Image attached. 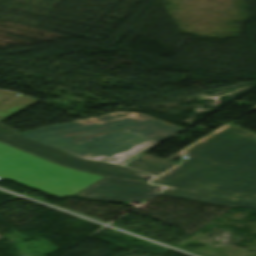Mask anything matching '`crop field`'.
<instances>
[{
	"instance_id": "ac0d7876",
	"label": "crop field",
	"mask_w": 256,
	"mask_h": 256,
	"mask_svg": "<svg viewBox=\"0 0 256 256\" xmlns=\"http://www.w3.org/2000/svg\"><path fill=\"white\" fill-rule=\"evenodd\" d=\"M102 178L61 167L0 143V181L9 179L63 199Z\"/></svg>"
},
{
	"instance_id": "8a807250",
	"label": "crop field",
	"mask_w": 256,
	"mask_h": 256,
	"mask_svg": "<svg viewBox=\"0 0 256 256\" xmlns=\"http://www.w3.org/2000/svg\"><path fill=\"white\" fill-rule=\"evenodd\" d=\"M184 153L190 158L152 182L196 192L168 188L161 195L256 209V135L236 126L228 125L164 161L144 154L126 165L157 176Z\"/></svg>"
},
{
	"instance_id": "f4fd0767",
	"label": "crop field",
	"mask_w": 256,
	"mask_h": 256,
	"mask_svg": "<svg viewBox=\"0 0 256 256\" xmlns=\"http://www.w3.org/2000/svg\"><path fill=\"white\" fill-rule=\"evenodd\" d=\"M133 114H136V113L115 112V113H111V114H106V115H102V116H97V117L88 118V119H84V120H79V121H75V122H70V123L50 126V127L41 128V129L45 130L47 132H50L52 134H55V135H58V136L62 137L64 134H67V133H72V132H77V131H81V130H86V129L96 128V127L111 125V124H115V123H120V122H125V121H130V120H135V119H141V118L149 117V116L143 115V114H136V116H133V117H128V118H123V119H118V120H113V121H108V122L88 125V124L97 123V122H101V121H106V120H110V119H115V118H120V117H124V116H129V115H133ZM150 118L151 119H149L147 121H143V122L133 123V124H129V125L119 126V127L105 129V130H100V131H95V132L79 134V135L67 137L65 139L70 140V138H73V137L89 135V134H94V133H99V132H104V131H109V130H114V129H120V128H125V127L140 125V124H144V123L159 121V120H156V119H154L152 117H150ZM159 122L160 123L156 124V125H151V126H146V127H139V128H133V129H129L128 131L134 132L135 130H141V129L155 127V126H164L163 128L153 129L151 131L141 132L140 133V134H143V135H145V136H147L149 138H153V139H157V140L161 141V140L171 136L172 134H174L177 131L182 129V128H179V127H176V126H173V125L161 122V121H159ZM85 125H88V126H85ZM113 133H115V132H113ZM113 133L104 134V135L95 136V137H90V138H85V139H81V140H76V141H73V142L80 143V142H82V141H84L86 139L91 140V141L99 142V141L103 140L104 138L110 136Z\"/></svg>"
},
{
	"instance_id": "5a996713",
	"label": "crop field",
	"mask_w": 256,
	"mask_h": 256,
	"mask_svg": "<svg viewBox=\"0 0 256 256\" xmlns=\"http://www.w3.org/2000/svg\"><path fill=\"white\" fill-rule=\"evenodd\" d=\"M155 128H158V127H155ZM153 128H150V129H146V130H151ZM146 130H141V131H146ZM136 132H140V131H136Z\"/></svg>"
},
{
	"instance_id": "e52e79f7",
	"label": "crop field",
	"mask_w": 256,
	"mask_h": 256,
	"mask_svg": "<svg viewBox=\"0 0 256 256\" xmlns=\"http://www.w3.org/2000/svg\"><path fill=\"white\" fill-rule=\"evenodd\" d=\"M147 119H149V118L141 119V120H135V121H130V122H125V123H120V124H115V125H111V126H106V127H101V128H96V129H91V130H86V131H81V132L72 133V134H67V135H64V137L70 136V135H74V134L94 131V130H100V129L110 128V127H115V126H119V125L129 124V123H133V122L143 121V120H147Z\"/></svg>"
},
{
	"instance_id": "34b2d1b8",
	"label": "crop field",
	"mask_w": 256,
	"mask_h": 256,
	"mask_svg": "<svg viewBox=\"0 0 256 256\" xmlns=\"http://www.w3.org/2000/svg\"><path fill=\"white\" fill-rule=\"evenodd\" d=\"M20 135L63 150L75 157L120 165L142 153L158 141L126 130L119 131L103 141H85L75 144L40 129Z\"/></svg>"
},
{
	"instance_id": "412701ff",
	"label": "crop field",
	"mask_w": 256,
	"mask_h": 256,
	"mask_svg": "<svg viewBox=\"0 0 256 256\" xmlns=\"http://www.w3.org/2000/svg\"><path fill=\"white\" fill-rule=\"evenodd\" d=\"M16 130L0 123V141L16 148L31 152L37 156L54 161L62 166H69L77 169L91 171L103 174L109 177L120 178L125 180L141 181L147 174L134 171L125 167L100 163L84 161L75 158L63 151L49 147L47 145L38 143L28 138L17 135Z\"/></svg>"
},
{
	"instance_id": "d8731c3e",
	"label": "crop field",
	"mask_w": 256,
	"mask_h": 256,
	"mask_svg": "<svg viewBox=\"0 0 256 256\" xmlns=\"http://www.w3.org/2000/svg\"><path fill=\"white\" fill-rule=\"evenodd\" d=\"M156 123H158V122L149 123V124L140 125V126H146V125H151V124H156ZM135 127H139V126H135ZM130 128H133V127H130ZM125 129H129V128H125ZM120 130H123V129H120ZM114 131H118V130H114ZM109 132H113V131H109ZM109 132H104V133H109ZM104 133H99V134H94V135H89V136H83V137L73 138L72 140L81 139V138L90 137V136H95V135H100V134H104Z\"/></svg>"
},
{
	"instance_id": "dd49c442",
	"label": "crop field",
	"mask_w": 256,
	"mask_h": 256,
	"mask_svg": "<svg viewBox=\"0 0 256 256\" xmlns=\"http://www.w3.org/2000/svg\"><path fill=\"white\" fill-rule=\"evenodd\" d=\"M162 189L163 187L147 183L105 177L76 195L91 199L129 201L132 198H138L145 201Z\"/></svg>"
}]
</instances>
